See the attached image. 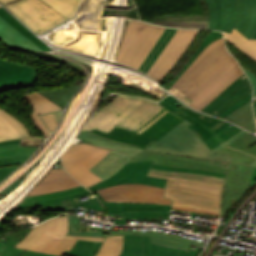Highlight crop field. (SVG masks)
Instances as JSON below:
<instances>
[{
  "mask_svg": "<svg viewBox=\"0 0 256 256\" xmlns=\"http://www.w3.org/2000/svg\"><path fill=\"white\" fill-rule=\"evenodd\" d=\"M130 157L111 151L98 164L92 167L89 171L96 174L103 180L112 176L120 167H122Z\"/></svg>",
  "mask_w": 256,
  "mask_h": 256,
  "instance_id": "obj_26",
  "label": "crop field"
},
{
  "mask_svg": "<svg viewBox=\"0 0 256 256\" xmlns=\"http://www.w3.org/2000/svg\"><path fill=\"white\" fill-rule=\"evenodd\" d=\"M176 31V29L172 28H166L164 33L161 35L153 49L150 51L144 62L139 67V70L146 73V71L149 69V67L152 65V63L155 61L159 53L162 51L166 43L169 41L173 33Z\"/></svg>",
  "mask_w": 256,
  "mask_h": 256,
  "instance_id": "obj_36",
  "label": "crop field"
},
{
  "mask_svg": "<svg viewBox=\"0 0 256 256\" xmlns=\"http://www.w3.org/2000/svg\"><path fill=\"white\" fill-rule=\"evenodd\" d=\"M248 133V132H247ZM244 134L217 154H229L230 162L247 165L256 159V146L248 150L245 147L256 141L254 136Z\"/></svg>",
  "mask_w": 256,
  "mask_h": 256,
  "instance_id": "obj_18",
  "label": "crop field"
},
{
  "mask_svg": "<svg viewBox=\"0 0 256 256\" xmlns=\"http://www.w3.org/2000/svg\"><path fill=\"white\" fill-rule=\"evenodd\" d=\"M255 182H256V168H254L252 175H251L250 184H249V188H248L249 192H250V188L255 184Z\"/></svg>",
  "mask_w": 256,
  "mask_h": 256,
  "instance_id": "obj_60",
  "label": "crop field"
},
{
  "mask_svg": "<svg viewBox=\"0 0 256 256\" xmlns=\"http://www.w3.org/2000/svg\"><path fill=\"white\" fill-rule=\"evenodd\" d=\"M17 0H0L3 5L15 2ZM54 9L56 12L64 16L66 19L72 17L80 0H41Z\"/></svg>",
  "mask_w": 256,
  "mask_h": 256,
  "instance_id": "obj_33",
  "label": "crop field"
},
{
  "mask_svg": "<svg viewBox=\"0 0 256 256\" xmlns=\"http://www.w3.org/2000/svg\"><path fill=\"white\" fill-rule=\"evenodd\" d=\"M0 41L14 49L42 51L0 17Z\"/></svg>",
  "mask_w": 256,
  "mask_h": 256,
  "instance_id": "obj_24",
  "label": "crop field"
},
{
  "mask_svg": "<svg viewBox=\"0 0 256 256\" xmlns=\"http://www.w3.org/2000/svg\"><path fill=\"white\" fill-rule=\"evenodd\" d=\"M225 119L232 121L246 129H248L249 131H251L253 133L256 132L251 102L238 108L236 111H234L232 114L227 116Z\"/></svg>",
  "mask_w": 256,
  "mask_h": 256,
  "instance_id": "obj_32",
  "label": "crop field"
},
{
  "mask_svg": "<svg viewBox=\"0 0 256 256\" xmlns=\"http://www.w3.org/2000/svg\"><path fill=\"white\" fill-rule=\"evenodd\" d=\"M85 195L88 196V195H91V193L86 188L80 186V187L73 188V189L66 190V191L24 198L20 204H22L24 202L38 201V200H43V202L46 203V202H51V201L65 200V199H71V198L77 197L80 204L82 205V207H87V208L104 211L101 203L95 197L89 198V199L81 202L79 198H81Z\"/></svg>",
  "mask_w": 256,
  "mask_h": 256,
  "instance_id": "obj_20",
  "label": "crop field"
},
{
  "mask_svg": "<svg viewBox=\"0 0 256 256\" xmlns=\"http://www.w3.org/2000/svg\"><path fill=\"white\" fill-rule=\"evenodd\" d=\"M62 115H63V112L59 111V112L44 114V115H41V117L46 123V125L48 126V128L50 129V131L52 132L56 128V126L59 124Z\"/></svg>",
  "mask_w": 256,
  "mask_h": 256,
  "instance_id": "obj_50",
  "label": "crop field"
},
{
  "mask_svg": "<svg viewBox=\"0 0 256 256\" xmlns=\"http://www.w3.org/2000/svg\"><path fill=\"white\" fill-rule=\"evenodd\" d=\"M171 209L194 211V212H198V213H204V214L218 215V216H219V213L210 212V211H204V210H198V209L183 208V207H175V206H172Z\"/></svg>",
  "mask_w": 256,
  "mask_h": 256,
  "instance_id": "obj_57",
  "label": "crop field"
},
{
  "mask_svg": "<svg viewBox=\"0 0 256 256\" xmlns=\"http://www.w3.org/2000/svg\"><path fill=\"white\" fill-rule=\"evenodd\" d=\"M169 212L166 211H136L123 212L124 216H167Z\"/></svg>",
  "mask_w": 256,
  "mask_h": 256,
  "instance_id": "obj_53",
  "label": "crop field"
},
{
  "mask_svg": "<svg viewBox=\"0 0 256 256\" xmlns=\"http://www.w3.org/2000/svg\"><path fill=\"white\" fill-rule=\"evenodd\" d=\"M81 85H73L67 87H60L54 89L40 90L37 91L44 97L54 102L58 106L65 109L67 103L71 100L72 96L79 90Z\"/></svg>",
  "mask_w": 256,
  "mask_h": 256,
  "instance_id": "obj_31",
  "label": "crop field"
},
{
  "mask_svg": "<svg viewBox=\"0 0 256 256\" xmlns=\"http://www.w3.org/2000/svg\"><path fill=\"white\" fill-rule=\"evenodd\" d=\"M226 40L256 60V40H248L235 29L231 34L226 33Z\"/></svg>",
  "mask_w": 256,
  "mask_h": 256,
  "instance_id": "obj_35",
  "label": "crop field"
},
{
  "mask_svg": "<svg viewBox=\"0 0 256 256\" xmlns=\"http://www.w3.org/2000/svg\"><path fill=\"white\" fill-rule=\"evenodd\" d=\"M155 24H159L165 27H173V28H208V22H159L155 21Z\"/></svg>",
  "mask_w": 256,
  "mask_h": 256,
  "instance_id": "obj_48",
  "label": "crop field"
},
{
  "mask_svg": "<svg viewBox=\"0 0 256 256\" xmlns=\"http://www.w3.org/2000/svg\"><path fill=\"white\" fill-rule=\"evenodd\" d=\"M166 183L184 185V186H188V187L199 188V189L213 191V192H219V193H221L223 190L221 188L211 187V186L197 184V183H193V182L170 180V179H167Z\"/></svg>",
  "mask_w": 256,
  "mask_h": 256,
  "instance_id": "obj_51",
  "label": "crop field"
},
{
  "mask_svg": "<svg viewBox=\"0 0 256 256\" xmlns=\"http://www.w3.org/2000/svg\"><path fill=\"white\" fill-rule=\"evenodd\" d=\"M249 93H251L250 84L244 74L203 108L202 111L218 116Z\"/></svg>",
  "mask_w": 256,
  "mask_h": 256,
  "instance_id": "obj_16",
  "label": "crop field"
},
{
  "mask_svg": "<svg viewBox=\"0 0 256 256\" xmlns=\"http://www.w3.org/2000/svg\"><path fill=\"white\" fill-rule=\"evenodd\" d=\"M244 69V68H243ZM244 71L247 73V75L250 77L252 84H253V93H254V98L256 97V77L252 75L250 72L244 69Z\"/></svg>",
  "mask_w": 256,
  "mask_h": 256,
  "instance_id": "obj_59",
  "label": "crop field"
},
{
  "mask_svg": "<svg viewBox=\"0 0 256 256\" xmlns=\"http://www.w3.org/2000/svg\"><path fill=\"white\" fill-rule=\"evenodd\" d=\"M104 237H86V236H72V235H65V237L62 239V241L58 244V246L55 248V250L52 252V254L55 255H69L74 256L70 254L64 253L65 250L70 251L72 246L75 244V242L78 239H88V240H98L102 241Z\"/></svg>",
  "mask_w": 256,
  "mask_h": 256,
  "instance_id": "obj_40",
  "label": "crop field"
},
{
  "mask_svg": "<svg viewBox=\"0 0 256 256\" xmlns=\"http://www.w3.org/2000/svg\"><path fill=\"white\" fill-rule=\"evenodd\" d=\"M6 7L37 35L66 20L40 0H19Z\"/></svg>",
  "mask_w": 256,
  "mask_h": 256,
  "instance_id": "obj_7",
  "label": "crop field"
},
{
  "mask_svg": "<svg viewBox=\"0 0 256 256\" xmlns=\"http://www.w3.org/2000/svg\"><path fill=\"white\" fill-rule=\"evenodd\" d=\"M105 206L107 213L121 214L122 211H136V210H166L169 211L170 205L162 204H133V203H110L105 202L97 191L93 192Z\"/></svg>",
  "mask_w": 256,
  "mask_h": 256,
  "instance_id": "obj_29",
  "label": "crop field"
},
{
  "mask_svg": "<svg viewBox=\"0 0 256 256\" xmlns=\"http://www.w3.org/2000/svg\"><path fill=\"white\" fill-rule=\"evenodd\" d=\"M163 108L149 100L118 95L95 112L81 132L97 128L108 133L115 126L135 132Z\"/></svg>",
  "mask_w": 256,
  "mask_h": 256,
  "instance_id": "obj_2",
  "label": "crop field"
},
{
  "mask_svg": "<svg viewBox=\"0 0 256 256\" xmlns=\"http://www.w3.org/2000/svg\"><path fill=\"white\" fill-rule=\"evenodd\" d=\"M110 150L92 146L86 143H77L62 155V163L68 173L88 187L100 182L102 179L88 170L98 163Z\"/></svg>",
  "mask_w": 256,
  "mask_h": 256,
  "instance_id": "obj_6",
  "label": "crop field"
},
{
  "mask_svg": "<svg viewBox=\"0 0 256 256\" xmlns=\"http://www.w3.org/2000/svg\"><path fill=\"white\" fill-rule=\"evenodd\" d=\"M37 68L0 59V92L35 84Z\"/></svg>",
  "mask_w": 256,
  "mask_h": 256,
  "instance_id": "obj_13",
  "label": "crop field"
},
{
  "mask_svg": "<svg viewBox=\"0 0 256 256\" xmlns=\"http://www.w3.org/2000/svg\"><path fill=\"white\" fill-rule=\"evenodd\" d=\"M175 102L178 101L171 96H166L160 103L189 121L191 124L187 127L203 141L229 126L228 122L201 115Z\"/></svg>",
  "mask_w": 256,
  "mask_h": 256,
  "instance_id": "obj_9",
  "label": "crop field"
},
{
  "mask_svg": "<svg viewBox=\"0 0 256 256\" xmlns=\"http://www.w3.org/2000/svg\"><path fill=\"white\" fill-rule=\"evenodd\" d=\"M27 137L30 136L26 127L0 107V141Z\"/></svg>",
  "mask_w": 256,
  "mask_h": 256,
  "instance_id": "obj_25",
  "label": "crop field"
},
{
  "mask_svg": "<svg viewBox=\"0 0 256 256\" xmlns=\"http://www.w3.org/2000/svg\"><path fill=\"white\" fill-rule=\"evenodd\" d=\"M251 101V94L248 96L244 97L240 101H238L236 104H234L232 107H230L228 110H226L224 113H222L220 116L221 118L226 117L228 114L232 113L234 110H236L238 107L244 105L245 103Z\"/></svg>",
  "mask_w": 256,
  "mask_h": 256,
  "instance_id": "obj_54",
  "label": "crop field"
},
{
  "mask_svg": "<svg viewBox=\"0 0 256 256\" xmlns=\"http://www.w3.org/2000/svg\"><path fill=\"white\" fill-rule=\"evenodd\" d=\"M165 195L217 203H220L221 198V194L218 193L168 184L166 187Z\"/></svg>",
  "mask_w": 256,
  "mask_h": 256,
  "instance_id": "obj_27",
  "label": "crop field"
},
{
  "mask_svg": "<svg viewBox=\"0 0 256 256\" xmlns=\"http://www.w3.org/2000/svg\"><path fill=\"white\" fill-rule=\"evenodd\" d=\"M242 74L222 38L204 49L168 91L201 110Z\"/></svg>",
  "mask_w": 256,
  "mask_h": 256,
  "instance_id": "obj_1",
  "label": "crop field"
},
{
  "mask_svg": "<svg viewBox=\"0 0 256 256\" xmlns=\"http://www.w3.org/2000/svg\"><path fill=\"white\" fill-rule=\"evenodd\" d=\"M46 223L47 222L34 227L29 232V234L20 243H18L15 247L28 250L36 242V240L39 238V236L44 232V230L46 228Z\"/></svg>",
  "mask_w": 256,
  "mask_h": 256,
  "instance_id": "obj_44",
  "label": "crop field"
},
{
  "mask_svg": "<svg viewBox=\"0 0 256 256\" xmlns=\"http://www.w3.org/2000/svg\"><path fill=\"white\" fill-rule=\"evenodd\" d=\"M198 32L199 30L177 29L146 74L160 82L177 63Z\"/></svg>",
  "mask_w": 256,
  "mask_h": 256,
  "instance_id": "obj_8",
  "label": "crop field"
},
{
  "mask_svg": "<svg viewBox=\"0 0 256 256\" xmlns=\"http://www.w3.org/2000/svg\"><path fill=\"white\" fill-rule=\"evenodd\" d=\"M123 235L106 237L96 256H119L122 247Z\"/></svg>",
  "mask_w": 256,
  "mask_h": 256,
  "instance_id": "obj_38",
  "label": "crop field"
},
{
  "mask_svg": "<svg viewBox=\"0 0 256 256\" xmlns=\"http://www.w3.org/2000/svg\"><path fill=\"white\" fill-rule=\"evenodd\" d=\"M200 250V247L197 248L196 252L178 250L155 245L151 243L149 236L124 235L120 256H198Z\"/></svg>",
  "mask_w": 256,
  "mask_h": 256,
  "instance_id": "obj_11",
  "label": "crop field"
},
{
  "mask_svg": "<svg viewBox=\"0 0 256 256\" xmlns=\"http://www.w3.org/2000/svg\"><path fill=\"white\" fill-rule=\"evenodd\" d=\"M164 197H167V196H164ZM168 198H173V197H168ZM172 205L198 208V209H204V210H210V211H216V212H219V207H220V204H217V203L201 202V201L186 200V199H179V198H174Z\"/></svg>",
  "mask_w": 256,
  "mask_h": 256,
  "instance_id": "obj_42",
  "label": "crop field"
},
{
  "mask_svg": "<svg viewBox=\"0 0 256 256\" xmlns=\"http://www.w3.org/2000/svg\"><path fill=\"white\" fill-rule=\"evenodd\" d=\"M229 127V126H228ZM242 129L232 125V127H229L217 134H215L214 136H212L211 138L207 139L206 141H204L206 143V145L209 147V149H213L214 147H216L217 145H219L220 143L224 142L225 140H227L228 138L232 137L233 135L237 134L238 132H240Z\"/></svg>",
  "mask_w": 256,
  "mask_h": 256,
  "instance_id": "obj_43",
  "label": "crop field"
},
{
  "mask_svg": "<svg viewBox=\"0 0 256 256\" xmlns=\"http://www.w3.org/2000/svg\"><path fill=\"white\" fill-rule=\"evenodd\" d=\"M21 256H55V255H48L40 252L26 251Z\"/></svg>",
  "mask_w": 256,
  "mask_h": 256,
  "instance_id": "obj_58",
  "label": "crop field"
},
{
  "mask_svg": "<svg viewBox=\"0 0 256 256\" xmlns=\"http://www.w3.org/2000/svg\"><path fill=\"white\" fill-rule=\"evenodd\" d=\"M108 190H137V191H146V192H154V193H163L162 188L154 187V186H147V185H138V184H122L117 185L105 189H100V191H108Z\"/></svg>",
  "mask_w": 256,
  "mask_h": 256,
  "instance_id": "obj_45",
  "label": "crop field"
},
{
  "mask_svg": "<svg viewBox=\"0 0 256 256\" xmlns=\"http://www.w3.org/2000/svg\"><path fill=\"white\" fill-rule=\"evenodd\" d=\"M22 139L19 140H11V141H4V142H0V145H5V144H11V143H20Z\"/></svg>",
  "mask_w": 256,
  "mask_h": 256,
  "instance_id": "obj_61",
  "label": "crop field"
},
{
  "mask_svg": "<svg viewBox=\"0 0 256 256\" xmlns=\"http://www.w3.org/2000/svg\"><path fill=\"white\" fill-rule=\"evenodd\" d=\"M211 164L228 166L229 162L212 161Z\"/></svg>",
  "mask_w": 256,
  "mask_h": 256,
  "instance_id": "obj_62",
  "label": "crop field"
},
{
  "mask_svg": "<svg viewBox=\"0 0 256 256\" xmlns=\"http://www.w3.org/2000/svg\"><path fill=\"white\" fill-rule=\"evenodd\" d=\"M112 234L121 235V234H140V235H149L151 236L152 242L170 245L182 249L188 248L190 243L197 244L202 246L203 244L194 242L192 240H187L181 237H175L165 234L151 233V232H135V231H112Z\"/></svg>",
  "mask_w": 256,
  "mask_h": 256,
  "instance_id": "obj_30",
  "label": "crop field"
},
{
  "mask_svg": "<svg viewBox=\"0 0 256 256\" xmlns=\"http://www.w3.org/2000/svg\"><path fill=\"white\" fill-rule=\"evenodd\" d=\"M100 195L105 201L134 202V203H163L170 204L171 200L162 199V195L137 191H108Z\"/></svg>",
  "mask_w": 256,
  "mask_h": 256,
  "instance_id": "obj_21",
  "label": "crop field"
},
{
  "mask_svg": "<svg viewBox=\"0 0 256 256\" xmlns=\"http://www.w3.org/2000/svg\"><path fill=\"white\" fill-rule=\"evenodd\" d=\"M148 175L155 176V177H162V178L193 181V182L212 185V186L221 187V188H223V183H224V179H222V178L203 176V175L168 172V171H161V170H154V169H150Z\"/></svg>",
  "mask_w": 256,
  "mask_h": 256,
  "instance_id": "obj_28",
  "label": "crop field"
},
{
  "mask_svg": "<svg viewBox=\"0 0 256 256\" xmlns=\"http://www.w3.org/2000/svg\"><path fill=\"white\" fill-rule=\"evenodd\" d=\"M29 158L30 156H14L0 158V167L23 164L28 161Z\"/></svg>",
  "mask_w": 256,
  "mask_h": 256,
  "instance_id": "obj_52",
  "label": "crop field"
},
{
  "mask_svg": "<svg viewBox=\"0 0 256 256\" xmlns=\"http://www.w3.org/2000/svg\"><path fill=\"white\" fill-rule=\"evenodd\" d=\"M254 110H255V116H256V107H254Z\"/></svg>",
  "mask_w": 256,
  "mask_h": 256,
  "instance_id": "obj_64",
  "label": "crop field"
},
{
  "mask_svg": "<svg viewBox=\"0 0 256 256\" xmlns=\"http://www.w3.org/2000/svg\"><path fill=\"white\" fill-rule=\"evenodd\" d=\"M188 124L190 123L186 120L183 121L146 149L172 155L229 161L228 155H214L205 143L186 127Z\"/></svg>",
  "mask_w": 256,
  "mask_h": 256,
  "instance_id": "obj_5",
  "label": "crop field"
},
{
  "mask_svg": "<svg viewBox=\"0 0 256 256\" xmlns=\"http://www.w3.org/2000/svg\"><path fill=\"white\" fill-rule=\"evenodd\" d=\"M0 16L6 22H8L11 26L15 27L21 34H23L28 39H30L33 43H35L43 51L51 50L39 38H37L32 32L27 30L25 26L20 24L13 16L9 15L8 12L2 7H0Z\"/></svg>",
  "mask_w": 256,
  "mask_h": 256,
  "instance_id": "obj_37",
  "label": "crop field"
},
{
  "mask_svg": "<svg viewBox=\"0 0 256 256\" xmlns=\"http://www.w3.org/2000/svg\"><path fill=\"white\" fill-rule=\"evenodd\" d=\"M101 243L97 241L78 240L71 251H66V253L78 256H94Z\"/></svg>",
  "mask_w": 256,
  "mask_h": 256,
  "instance_id": "obj_39",
  "label": "crop field"
},
{
  "mask_svg": "<svg viewBox=\"0 0 256 256\" xmlns=\"http://www.w3.org/2000/svg\"><path fill=\"white\" fill-rule=\"evenodd\" d=\"M183 120L185 119L164 108L135 133L118 127H115L108 134L100 132L97 129L88 132L97 137L108 139L116 143L144 149Z\"/></svg>",
  "mask_w": 256,
  "mask_h": 256,
  "instance_id": "obj_3",
  "label": "crop field"
},
{
  "mask_svg": "<svg viewBox=\"0 0 256 256\" xmlns=\"http://www.w3.org/2000/svg\"><path fill=\"white\" fill-rule=\"evenodd\" d=\"M253 167L231 163L227 173L222 197L221 216L223 217L247 192Z\"/></svg>",
  "mask_w": 256,
  "mask_h": 256,
  "instance_id": "obj_12",
  "label": "crop field"
},
{
  "mask_svg": "<svg viewBox=\"0 0 256 256\" xmlns=\"http://www.w3.org/2000/svg\"><path fill=\"white\" fill-rule=\"evenodd\" d=\"M38 147L39 146H21L20 144L0 146V157L32 155Z\"/></svg>",
  "mask_w": 256,
  "mask_h": 256,
  "instance_id": "obj_41",
  "label": "crop field"
},
{
  "mask_svg": "<svg viewBox=\"0 0 256 256\" xmlns=\"http://www.w3.org/2000/svg\"><path fill=\"white\" fill-rule=\"evenodd\" d=\"M22 97L29 102L33 110V112L30 115L32 121L36 125L37 129L47 138L51 133L48 131V129L40 119L39 115L43 113L59 110L62 108L50 102L49 100H47L46 98H44L42 95H40L35 91Z\"/></svg>",
  "mask_w": 256,
  "mask_h": 256,
  "instance_id": "obj_22",
  "label": "crop field"
},
{
  "mask_svg": "<svg viewBox=\"0 0 256 256\" xmlns=\"http://www.w3.org/2000/svg\"><path fill=\"white\" fill-rule=\"evenodd\" d=\"M244 133H246L244 130L241 131L240 133H238L237 135L233 136L232 138L228 139L226 142H224L223 144L217 146L216 148H214L213 150H211L214 154L216 152H218L220 149H222L224 146H226L227 144H229L230 142H232L233 140H235L236 138L240 137L241 135H243Z\"/></svg>",
  "mask_w": 256,
  "mask_h": 256,
  "instance_id": "obj_56",
  "label": "crop field"
},
{
  "mask_svg": "<svg viewBox=\"0 0 256 256\" xmlns=\"http://www.w3.org/2000/svg\"><path fill=\"white\" fill-rule=\"evenodd\" d=\"M151 168L154 169H161V170H168V171H176V172H185V173H194V174H203V175H210L216 177L224 178L226 174L205 171V170H197V169H189V168H181V167H173V166H165V165H157L153 164Z\"/></svg>",
  "mask_w": 256,
  "mask_h": 256,
  "instance_id": "obj_46",
  "label": "crop field"
},
{
  "mask_svg": "<svg viewBox=\"0 0 256 256\" xmlns=\"http://www.w3.org/2000/svg\"><path fill=\"white\" fill-rule=\"evenodd\" d=\"M68 215L69 219V230L67 234L73 235H87V236H104L103 231H94V232H79V217ZM74 218V220H73Z\"/></svg>",
  "mask_w": 256,
  "mask_h": 256,
  "instance_id": "obj_47",
  "label": "crop field"
},
{
  "mask_svg": "<svg viewBox=\"0 0 256 256\" xmlns=\"http://www.w3.org/2000/svg\"><path fill=\"white\" fill-rule=\"evenodd\" d=\"M209 15L203 16H156L159 21H208Z\"/></svg>",
  "mask_w": 256,
  "mask_h": 256,
  "instance_id": "obj_49",
  "label": "crop field"
},
{
  "mask_svg": "<svg viewBox=\"0 0 256 256\" xmlns=\"http://www.w3.org/2000/svg\"><path fill=\"white\" fill-rule=\"evenodd\" d=\"M20 166L1 167L0 168V183L4 179H6L10 174H12Z\"/></svg>",
  "mask_w": 256,
  "mask_h": 256,
  "instance_id": "obj_55",
  "label": "crop field"
},
{
  "mask_svg": "<svg viewBox=\"0 0 256 256\" xmlns=\"http://www.w3.org/2000/svg\"><path fill=\"white\" fill-rule=\"evenodd\" d=\"M152 163L153 161H145L125 164L112 177L89 189L90 191H94L121 183L147 184L164 188L166 179L146 176Z\"/></svg>",
  "mask_w": 256,
  "mask_h": 256,
  "instance_id": "obj_10",
  "label": "crop field"
},
{
  "mask_svg": "<svg viewBox=\"0 0 256 256\" xmlns=\"http://www.w3.org/2000/svg\"><path fill=\"white\" fill-rule=\"evenodd\" d=\"M249 166L256 167V160L254 162L250 163Z\"/></svg>",
  "mask_w": 256,
  "mask_h": 256,
  "instance_id": "obj_63",
  "label": "crop field"
},
{
  "mask_svg": "<svg viewBox=\"0 0 256 256\" xmlns=\"http://www.w3.org/2000/svg\"><path fill=\"white\" fill-rule=\"evenodd\" d=\"M80 186L65 171L47 174L30 192L28 196L41 195Z\"/></svg>",
  "mask_w": 256,
  "mask_h": 256,
  "instance_id": "obj_19",
  "label": "crop field"
},
{
  "mask_svg": "<svg viewBox=\"0 0 256 256\" xmlns=\"http://www.w3.org/2000/svg\"><path fill=\"white\" fill-rule=\"evenodd\" d=\"M67 229V215L49 220L45 232L29 250L51 254V252L66 234Z\"/></svg>",
  "mask_w": 256,
  "mask_h": 256,
  "instance_id": "obj_17",
  "label": "crop field"
},
{
  "mask_svg": "<svg viewBox=\"0 0 256 256\" xmlns=\"http://www.w3.org/2000/svg\"><path fill=\"white\" fill-rule=\"evenodd\" d=\"M144 160H155L154 163L157 164L205 169L226 173V167L210 165L211 160L165 155L147 150H143L140 153L134 155L128 162Z\"/></svg>",
  "mask_w": 256,
  "mask_h": 256,
  "instance_id": "obj_15",
  "label": "crop field"
},
{
  "mask_svg": "<svg viewBox=\"0 0 256 256\" xmlns=\"http://www.w3.org/2000/svg\"><path fill=\"white\" fill-rule=\"evenodd\" d=\"M256 4V0H251ZM209 11V29L221 30L230 33L237 17V11L234 0H206ZM256 39V30L251 37Z\"/></svg>",
  "mask_w": 256,
  "mask_h": 256,
  "instance_id": "obj_14",
  "label": "crop field"
},
{
  "mask_svg": "<svg viewBox=\"0 0 256 256\" xmlns=\"http://www.w3.org/2000/svg\"><path fill=\"white\" fill-rule=\"evenodd\" d=\"M164 30L143 22H129L115 59L138 69Z\"/></svg>",
  "mask_w": 256,
  "mask_h": 256,
  "instance_id": "obj_4",
  "label": "crop field"
},
{
  "mask_svg": "<svg viewBox=\"0 0 256 256\" xmlns=\"http://www.w3.org/2000/svg\"><path fill=\"white\" fill-rule=\"evenodd\" d=\"M235 1L238 17L234 28L250 39L256 28V6H252L250 0Z\"/></svg>",
  "mask_w": 256,
  "mask_h": 256,
  "instance_id": "obj_23",
  "label": "crop field"
},
{
  "mask_svg": "<svg viewBox=\"0 0 256 256\" xmlns=\"http://www.w3.org/2000/svg\"><path fill=\"white\" fill-rule=\"evenodd\" d=\"M78 137L91 141L93 145L108 148L111 150H116L130 157L141 151V149L119 145L108 140L94 137L87 132L80 133Z\"/></svg>",
  "mask_w": 256,
  "mask_h": 256,
  "instance_id": "obj_34",
  "label": "crop field"
}]
</instances>
